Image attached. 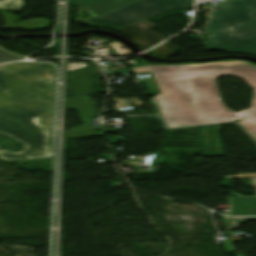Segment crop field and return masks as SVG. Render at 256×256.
<instances>
[{
    "label": "crop field",
    "instance_id": "obj_1",
    "mask_svg": "<svg viewBox=\"0 0 256 256\" xmlns=\"http://www.w3.org/2000/svg\"><path fill=\"white\" fill-rule=\"evenodd\" d=\"M136 75L152 72L161 92L150 99L167 128L231 123L237 114L220 98L216 79L234 76L247 79L256 65L247 61H225L175 66L151 65L133 70Z\"/></svg>",
    "mask_w": 256,
    "mask_h": 256
},
{
    "label": "crop field",
    "instance_id": "obj_2",
    "mask_svg": "<svg viewBox=\"0 0 256 256\" xmlns=\"http://www.w3.org/2000/svg\"><path fill=\"white\" fill-rule=\"evenodd\" d=\"M54 77L0 93V133L25 143L23 152L0 149L9 162L52 158Z\"/></svg>",
    "mask_w": 256,
    "mask_h": 256
},
{
    "label": "crop field",
    "instance_id": "obj_3",
    "mask_svg": "<svg viewBox=\"0 0 256 256\" xmlns=\"http://www.w3.org/2000/svg\"><path fill=\"white\" fill-rule=\"evenodd\" d=\"M207 11L209 49L256 56V0H224Z\"/></svg>",
    "mask_w": 256,
    "mask_h": 256
},
{
    "label": "crop field",
    "instance_id": "obj_4",
    "mask_svg": "<svg viewBox=\"0 0 256 256\" xmlns=\"http://www.w3.org/2000/svg\"><path fill=\"white\" fill-rule=\"evenodd\" d=\"M193 2L194 0H139L85 24L91 27L115 30Z\"/></svg>",
    "mask_w": 256,
    "mask_h": 256
},
{
    "label": "crop field",
    "instance_id": "obj_5",
    "mask_svg": "<svg viewBox=\"0 0 256 256\" xmlns=\"http://www.w3.org/2000/svg\"><path fill=\"white\" fill-rule=\"evenodd\" d=\"M54 75L49 64L12 63L0 66V92Z\"/></svg>",
    "mask_w": 256,
    "mask_h": 256
},
{
    "label": "crop field",
    "instance_id": "obj_6",
    "mask_svg": "<svg viewBox=\"0 0 256 256\" xmlns=\"http://www.w3.org/2000/svg\"><path fill=\"white\" fill-rule=\"evenodd\" d=\"M155 27L156 26H154L153 24L144 20L115 31L126 35L128 38L134 41L143 51L166 39L151 31Z\"/></svg>",
    "mask_w": 256,
    "mask_h": 256
},
{
    "label": "crop field",
    "instance_id": "obj_7",
    "mask_svg": "<svg viewBox=\"0 0 256 256\" xmlns=\"http://www.w3.org/2000/svg\"><path fill=\"white\" fill-rule=\"evenodd\" d=\"M100 74L99 69L92 66L79 69L67 74V91H73L74 97L93 94L92 75Z\"/></svg>",
    "mask_w": 256,
    "mask_h": 256
},
{
    "label": "crop field",
    "instance_id": "obj_8",
    "mask_svg": "<svg viewBox=\"0 0 256 256\" xmlns=\"http://www.w3.org/2000/svg\"><path fill=\"white\" fill-rule=\"evenodd\" d=\"M137 0H70L75 6H85L96 17Z\"/></svg>",
    "mask_w": 256,
    "mask_h": 256
},
{
    "label": "crop field",
    "instance_id": "obj_9",
    "mask_svg": "<svg viewBox=\"0 0 256 256\" xmlns=\"http://www.w3.org/2000/svg\"><path fill=\"white\" fill-rule=\"evenodd\" d=\"M245 81L254 88L252 103L249 109L237 114L240 125L256 139V74Z\"/></svg>",
    "mask_w": 256,
    "mask_h": 256
},
{
    "label": "crop field",
    "instance_id": "obj_10",
    "mask_svg": "<svg viewBox=\"0 0 256 256\" xmlns=\"http://www.w3.org/2000/svg\"><path fill=\"white\" fill-rule=\"evenodd\" d=\"M0 13L5 19V24L4 26H1L0 29H16V30L32 31L36 29L47 28L50 26L49 21L42 18L24 20L16 24H13V22L20 20V18L8 12H0Z\"/></svg>",
    "mask_w": 256,
    "mask_h": 256
},
{
    "label": "crop field",
    "instance_id": "obj_11",
    "mask_svg": "<svg viewBox=\"0 0 256 256\" xmlns=\"http://www.w3.org/2000/svg\"><path fill=\"white\" fill-rule=\"evenodd\" d=\"M233 215L256 216V199L233 198Z\"/></svg>",
    "mask_w": 256,
    "mask_h": 256
},
{
    "label": "crop field",
    "instance_id": "obj_12",
    "mask_svg": "<svg viewBox=\"0 0 256 256\" xmlns=\"http://www.w3.org/2000/svg\"><path fill=\"white\" fill-rule=\"evenodd\" d=\"M179 51H180L179 48L167 42L148 53H151L153 55L160 56V57L169 58L174 54L178 53Z\"/></svg>",
    "mask_w": 256,
    "mask_h": 256
},
{
    "label": "crop field",
    "instance_id": "obj_13",
    "mask_svg": "<svg viewBox=\"0 0 256 256\" xmlns=\"http://www.w3.org/2000/svg\"><path fill=\"white\" fill-rule=\"evenodd\" d=\"M25 4L22 0H2L0 1V9L3 10H20Z\"/></svg>",
    "mask_w": 256,
    "mask_h": 256
},
{
    "label": "crop field",
    "instance_id": "obj_14",
    "mask_svg": "<svg viewBox=\"0 0 256 256\" xmlns=\"http://www.w3.org/2000/svg\"><path fill=\"white\" fill-rule=\"evenodd\" d=\"M18 59H22V57H18V56H15V55H10V54L5 53V52L0 50V63L13 61V60H18Z\"/></svg>",
    "mask_w": 256,
    "mask_h": 256
},
{
    "label": "crop field",
    "instance_id": "obj_15",
    "mask_svg": "<svg viewBox=\"0 0 256 256\" xmlns=\"http://www.w3.org/2000/svg\"><path fill=\"white\" fill-rule=\"evenodd\" d=\"M243 178H256V173H245L237 176H226L222 179H243Z\"/></svg>",
    "mask_w": 256,
    "mask_h": 256
}]
</instances>
